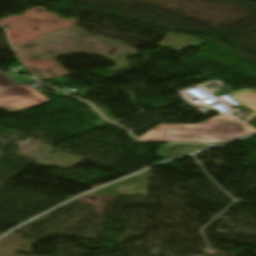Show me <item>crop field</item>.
I'll return each mask as SVG.
<instances>
[{"mask_svg":"<svg viewBox=\"0 0 256 256\" xmlns=\"http://www.w3.org/2000/svg\"><path fill=\"white\" fill-rule=\"evenodd\" d=\"M256 129L227 116H216L198 125L160 124L139 139L176 142H225Z\"/></svg>","mask_w":256,"mask_h":256,"instance_id":"obj_1","label":"crop field"},{"mask_svg":"<svg viewBox=\"0 0 256 256\" xmlns=\"http://www.w3.org/2000/svg\"><path fill=\"white\" fill-rule=\"evenodd\" d=\"M49 102L30 85L0 90V110L15 113L42 103Z\"/></svg>","mask_w":256,"mask_h":256,"instance_id":"obj_2","label":"crop field"},{"mask_svg":"<svg viewBox=\"0 0 256 256\" xmlns=\"http://www.w3.org/2000/svg\"><path fill=\"white\" fill-rule=\"evenodd\" d=\"M233 98H235L240 103L244 104L249 109L255 111L250 114L248 119L256 117V92L245 89L242 91L232 93Z\"/></svg>","mask_w":256,"mask_h":256,"instance_id":"obj_3","label":"crop field"},{"mask_svg":"<svg viewBox=\"0 0 256 256\" xmlns=\"http://www.w3.org/2000/svg\"><path fill=\"white\" fill-rule=\"evenodd\" d=\"M11 85H16L6 77L0 74V88L5 87V86H11Z\"/></svg>","mask_w":256,"mask_h":256,"instance_id":"obj_4","label":"crop field"}]
</instances>
